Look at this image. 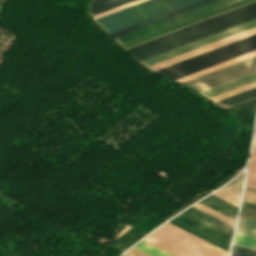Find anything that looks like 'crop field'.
<instances>
[{"instance_id": "crop-field-1", "label": "crop field", "mask_w": 256, "mask_h": 256, "mask_svg": "<svg viewBox=\"0 0 256 256\" xmlns=\"http://www.w3.org/2000/svg\"><path fill=\"white\" fill-rule=\"evenodd\" d=\"M255 18L256 2L191 25L186 27V29L198 40ZM186 29L183 28L152 41L130 48L127 51L137 60L141 61L195 41L196 39Z\"/></svg>"}, {"instance_id": "crop-field-2", "label": "crop field", "mask_w": 256, "mask_h": 256, "mask_svg": "<svg viewBox=\"0 0 256 256\" xmlns=\"http://www.w3.org/2000/svg\"><path fill=\"white\" fill-rule=\"evenodd\" d=\"M143 240L175 256H228V252L168 222Z\"/></svg>"}, {"instance_id": "crop-field-3", "label": "crop field", "mask_w": 256, "mask_h": 256, "mask_svg": "<svg viewBox=\"0 0 256 256\" xmlns=\"http://www.w3.org/2000/svg\"><path fill=\"white\" fill-rule=\"evenodd\" d=\"M253 72H256V56L208 73L206 75L200 76L198 78L192 79L190 81L184 82L182 84L200 92ZM255 80L256 73H253L200 93L205 97L209 98Z\"/></svg>"}, {"instance_id": "crop-field-4", "label": "crop field", "mask_w": 256, "mask_h": 256, "mask_svg": "<svg viewBox=\"0 0 256 256\" xmlns=\"http://www.w3.org/2000/svg\"><path fill=\"white\" fill-rule=\"evenodd\" d=\"M198 0H147L118 12L96 19L108 34Z\"/></svg>"}, {"instance_id": "crop-field-5", "label": "crop field", "mask_w": 256, "mask_h": 256, "mask_svg": "<svg viewBox=\"0 0 256 256\" xmlns=\"http://www.w3.org/2000/svg\"><path fill=\"white\" fill-rule=\"evenodd\" d=\"M255 49L256 35H253L155 72L175 80Z\"/></svg>"}, {"instance_id": "crop-field-6", "label": "crop field", "mask_w": 256, "mask_h": 256, "mask_svg": "<svg viewBox=\"0 0 256 256\" xmlns=\"http://www.w3.org/2000/svg\"><path fill=\"white\" fill-rule=\"evenodd\" d=\"M237 0H215L213 2L204 4L202 6L196 7L194 9L185 11L183 13L177 14L175 16L166 18L164 20L158 21L156 23L147 25L145 27L139 28L137 30L128 32L126 34L115 37L119 44L124 43L126 41L132 40L134 38L140 37L142 35L148 34L150 32L159 30L161 28L167 27L169 25L175 24L177 22L183 21L185 19L194 17L196 15L202 14L204 12L210 11L212 9L218 8L220 6L226 5L228 3L234 2Z\"/></svg>"}, {"instance_id": "crop-field-7", "label": "crop field", "mask_w": 256, "mask_h": 256, "mask_svg": "<svg viewBox=\"0 0 256 256\" xmlns=\"http://www.w3.org/2000/svg\"><path fill=\"white\" fill-rule=\"evenodd\" d=\"M254 27H256V19H255V20H252V21H250V22L244 23V24H242V25L236 26V27H234V28L228 29V30H226V31L220 32V33H218V34L212 35V36H210V37L204 38V39H202V40L193 42V43H191V44L182 46V47H180V48L171 50V51H169V52H166V53L157 55V56L152 57V58H149V59H146V60H144V61H141L140 63H142L143 65H145L146 67H148V66H151V65H153V64H156V63H159V62H161V61L170 59V58H172V57H175V56H178V55H180V54L189 52V51H191V50H194V49H197V48H199V47L208 45V44H210V43L219 41V40H221V39L227 38V37H229V36L238 34V33H240V32L246 31V30L251 29V28H254Z\"/></svg>"}, {"instance_id": "crop-field-8", "label": "crop field", "mask_w": 256, "mask_h": 256, "mask_svg": "<svg viewBox=\"0 0 256 256\" xmlns=\"http://www.w3.org/2000/svg\"><path fill=\"white\" fill-rule=\"evenodd\" d=\"M226 251H229L230 238L206 227L205 225L183 215L179 214L168 221Z\"/></svg>"}, {"instance_id": "crop-field-9", "label": "crop field", "mask_w": 256, "mask_h": 256, "mask_svg": "<svg viewBox=\"0 0 256 256\" xmlns=\"http://www.w3.org/2000/svg\"><path fill=\"white\" fill-rule=\"evenodd\" d=\"M253 34H256V28L251 29V30H248V31L243 32V33H240V34H238V35L229 37V38H227V39L221 40V41H219V42L210 44V45H208V46L199 48V49L194 50V51H191V52H189V53L180 55V56L175 57V58H172V59H170V60L161 62V63H159V64L153 65V66L148 67V68H150V69H152V70L155 71V70H158V69H160V68H163V67H166V66H168V65L177 63V62H179V61L188 59V58H190V57H193V56H196V55H198V54L207 52V51H209V50L215 49V48H217V47L226 45V44H228V43L234 42V41H236V40L245 38V37L250 36V35H253Z\"/></svg>"}, {"instance_id": "crop-field-10", "label": "crop field", "mask_w": 256, "mask_h": 256, "mask_svg": "<svg viewBox=\"0 0 256 256\" xmlns=\"http://www.w3.org/2000/svg\"><path fill=\"white\" fill-rule=\"evenodd\" d=\"M227 109L231 110L235 114L242 126L252 128L256 110V98Z\"/></svg>"}, {"instance_id": "crop-field-11", "label": "crop field", "mask_w": 256, "mask_h": 256, "mask_svg": "<svg viewBox=\"0 0 256 256\" xmlns=\"http://www.w3.org/2000/svg\"><path fill=\"white\" fill-rule=\"evenodd\" d=\"M199 203L235 220L236 219V213H237V207L211 195L204 200L200 201Z\"/></svg>"}, {"instance_id": "crop-field-12", "label": "crop field", "mask_w": 256, "mask_h": 256, "mask_svg": "<svg viewBox=\"0 0 256 256\" xmlns=\"http://www.w3.org/2000/svg\"><path fill=\"white\" fill-rule=\"evenodd\" d=\"M183 212H185V213H187V214H189V215H191V216H193V217H195V218H197V219H199V220H201V221H203V222H205V223H207V224H209V225H211L229 235H232L234 227H232V226H230V225H228V224H226V223H224V222H222V221H220V220H218V219H216V218H214V217H212V216H210L192 206Z\"/></svg>"}, {"instance_id": "crop-field-13", "label": "crop field", "mask_w": 256, "mask_h": 256, "mask_svg": "<svg viewBox=\"0 0 256 256\" xmlns=\"http://www.w3.org/2000/svg\"><path fill=\"white\" fill-rule=\"evenodd\" d=\"M210 1H213V0H201V1L195 2V3H193V4L187 5V6H185V7L179 8V9H177V10L171 11V12H169V13L163 14V15H161V16L155 17V18H153V19L147 20V21H145V22L139 23V24H137V25L131 26V27H129V28L123 29V30H121V31L115 32V33L110 34V35L113 36V37L118 36V35H120V34H123V33H126V32H128V31L137 29V28H139V27H142V26H145V25H147V24L156 22V21H158V20H161V19H164V18H166V17L175 15V14H177V13L183 12V11H185V10L194 8V7H196V6L202 5V4L207 3V2H210Z\"/></svg>"}, {"instance_id": "crop-field-14", "label": "crop field", "mask_w": 256, "mask_h": 256, "mask_svg": "<svg viewBox=\"0 0 256 256\" xmlns=\"http://www.w3.org/2000/svg\"><path fill=\"white\" fill-rule=\"evenodd\" d=\"M145 233H142L134 228L128 229L125 233H123L119 238L116 239L114 243V248L124 251L133 243H135L138 239H140Z\"/></svg>"}, {"instance_id": "crop-field-15", "label": "crop field", "mask_w": 256, "mask_h": 256, "mask_svg": "<svg viewBox=\"0 0 256 256\" xmlns=\"http://www.w3.org/2000/svg\"><path fill=\"white\" fill-rule=\"evenodd\" d=\"M254 55H256V50H255V51H252V52H249V53H247V54L241 55V56H239V57L233 58V59H231V60L225 61V62H223V63L217 64V65H215V66L209 67V68H207V69L201 70V71H199V72L193 73V74H191V75L185 76V77H183V78L177 79V80H175V81L182 83V82H184V81L190 80V79H192V78L198 77V76H200V75L206 74V73H208V72L214 71V70H216V69L222 68V67H224V66L230 65V64H232V63L238 62V61H240V60L246 59V58L251 57V56H254Z\"/></svg>"}, {"instance_id": "crop-field-16", "label": "crop field", "mask_w": 256, "mask_h": 256, "mask_svg": "<svg viewBox=\"0 0 256 256\" xmlns=\"http://www.w3.org/2000/svg\"><path fill=\"white\" fill-rule=\"evenodd\" d=\"M131 1L133 0H93L90 5V15H96Z\"/></svg>"}, {"instance_id": "crop-field-17", "label": "crop field", "mask_w": 256, "mask_h": 256, "mask_svg": "<svg viewBox=\"0 0 256 256\" xmlns=\"http://www.w3.org/2000/svg\"><path fill=\"white\" fill-rule=\"evenodd\" d=\"M246 187L256 189V133L251 152L250 165L247 174Z\"/></svg>"}, {"instance_id": "crop-field-18", "label": "crop field", "mask_w": 256, "mask_h": 256, "mask_svg": "<svg viewBox=\"0 0 256 256\" xmlns=\"http://www.w3.org/2000/svg\"><path fill=\"white\" fill-rule=\"evenodd\" d=\"M236 232L256 237V220L240 216Z\"/></svg>"}, {"instance_id": "crop-field-19", "label": "crop field", "mask_w": 256, "mask_h": 256, "mask_svg": "<svg viewBox=\"0 0 256 256\" xmlns=\"http://www.w3.org/2000/svg\"><path fill=\"white\" fill-rule=\"evenodd\" d=\"M256 96V88L216 102L224 108Z\"/></svg>"}, {"instance_id": "crop-field-20", "label": "crop field", "mask_w": 256, "mask_h": 256, "mask_svg": "<svg viewBox=\"0 0 256 256\" xmlns=\"http://www.w3.org/2000/svg\"><path fill=\"white\" fill-rule=\"evenodd\" d=\"M134 247L151 256H173L143 240L139 242L137 245H135Z\"/></svg>"}, {"instance_id": "crop-field-21", "label": "crop field", "mask_w": 256, "mask_h": 256, "mask_svg": "<svg viewBox=\"0 0 256 256\" xmlns=\"http://www.w3.org/2000/svg\"><path fill=\"white\" fill-rule=\"evenodd\" d=\"M254 87H256V81H255V82H252V83H249V84H247V85L241 86V87H239V88L230 90V91H228V92L222 93V94H220V95L214 96V97L209 98V99L212 100V101H214V102H216V101H219V100H221V99L227 98V97H229V96L235 95V94H237V93L246 91V90L251 89V88H254Z\"/></svg>"}, {"instance_id": "crop-field-22", "label": "crop field", "mask_w": 256, "mask_h": 256, "mask_svg": "<svg viewBox=\"0 0 256 256\" xmlns=\"http://www.w3.org/2000/svg\"><path fill=\"white\" fill-rule=\"evenodd\" d=\"M213 195H215V196H217V197H219L237 207L239 205L240 196H238L224 188L216 191Z\"/></svg>"}, {"instance_id": "crop-field-23", "label": "crop field", "mask_w": 256, "mask_h": 256, "mask_svg": "<svg viewBox=\"0 0 256 256\" xmlns=\"http://www.w3.org/2000/svg\"><path fill=\"white\" fill-rule=\"evenodd\" d=\"M243 177H244V172H242L239 176H237L233 181L228 183L224 188L240 195L241 193V187L243 183Z\"/></svg>"}, {"instance_id": "crop-field-24", "label": "crop field", "mask_w": 256, "mask_h": 256, "mask_svg": "<svg viewBox=\"0 0 256 256\" xmlns=\"http://www.w3.org/2000/svg\"><path fill=\"white\" fill-rule=\"evenodd\" d=\"M236 244H240V245H244V246H248V247H255L256 246V238L253 237H249V236H245V235H241V234H237L235 235V239L234 242Z\"/></svg>"}, {"instance_id": "crop-field-25", "label": "crop field", "mask_w": 256, "mask_h": 256, "mask_svg": "<svg viewBox=\"0 0 256 256\" xmlns=\"http://www.w3.org/2000/svg\"><path fill=\"white\" fill-rule=\"evenodd\" d=\"M193 206L202 210V211H204V212H206V213H208V214H210V215H212V216H214V217H216V218H218V219H220V220H222V221H224V222H226V223H228V224H230V225H232V226H234V224H235L234 221H232V220H230V219H228V218H226V217H224V216H222V215H220V214H218V213H216V212H214V211H212V210H210V209H208V208H206V207H204V206H202L198 203L194 204Z\"/></svg>"}, {"instance_id": "crop-field-26", "label": "crop field", "mask_w": 256, "mask_h": 256, "mask_svg": "<svg viewBox=\"0 0 256 256\" xmlns=\"http://www.w3.org/2000/svg\"><path fill=\"white\" fill-rule=\"evenodd\" d=\"M240 215L256 219V205L245 202Z\"/></svg>"}, {"instance_id": "crop-field-27", "label": "crop field", "mask_w": 256, "mask_h": 256, "mask_svg": "<svg viewBox=\"0 0 256 256\" xmlns=\"http://www.w3.org/2000/svg\"><path fill=\"white\" fill-rule=\"evenodd\" d=\"M232 256H256V252L233 246Z\"/></svg>"}, {"instance_id": "crop-field-28", "label": "crop field", "mask_w": 256, "mask_h": 256, "mask_svg": "<svg viewBox=\"0 0 256 256\" xmlns=\"http://www.w3.org/2000/svg\"><path fill=\"white\" fill-rule=\"evenodd\" d=\"M142 1H145V0H136V1H133V2L128 3V4H125V5H123V6H120V7L114 8V9H112V10L106 11V12H104V13L98 14V15H96V16H93V19L99 18V17H101V16L107 15V14L112 13V12H115V11H118V10H120V9L126 8V7L131 6V5H134V4H137V3L142 2Z\"/></svg>"}, {"instance_id": "crop-field-29", "label": "crop field", "mask_w": 256, "mask_h": 256, "mask_svg": "<svg viewBox=\"0 0 256 256\" xmlns=\"http://www.w3.org/2000/svg\"><path fill=\"white\" fill-rule=\"evenodd\" d=\"M243 200L256 204V192L245 189Z\"/></svg>"}, {"instance_id": "crop-field-30", "label": "crop field", "mask_w": 256, "mask_h": 256, "mask_svg": "<svg viewBox=\"0 0 256 256\" xmlns=\"http://www.w3.org/2000/svg\"><path fill=\"white\" fill-rule=\"evenodd\" d=\"M210 193V192H208ZM208 193H203V194H199L196 195L195 197H193L191 200H189L186 204H184L180 209H178L176 212H174L172 215H170L168 218H170L171 216H173L174 214L178 213L179 211H181L182 209H184L185 207L189 206L190 204H192L193 202L197 201L198 199L202 198L203 196L207 195ZM167 218V219H168Z\"/></svg>"}, {"instance_id": "crop-field-31", "label": "crop field", "mask_w": 256, "mask_h": 256, "mask_svg": "<svg viewBox=\"0 0 256 256\" xmlns=\"http://www.w3.org/2000/svg\"><path fill=\"white\" fill-rule=\"evenodd\" d=\"M125 254L128 255V256H149V255H147V254H145V253H143V252H141V251H139V250H137L133 247Z\"/></svg>"}, {"instance_id": "crop-field-32", "label": "crop field", "mask_w": 256, "mask_h": 256, "mask_svg": "<svg viewBox=\"0 0 256 256\" xmlns=\"http://www.w3.org/2000/svg\"><path fill=\"white\" fill-rule=\"evenodd\" d=\"M242 168L236 170L232 175H230L229 177H227L223 182H221L216 188H214L213 190L217 189L219 186H221L222 184H224L226 181H228L229 179H231L232 177H234L236 174H238L240 172Z\"/></svg>"}, {"instance_id": "crop-field-33", "label": "crop field", "mask_w": 256, "mask_h": 256, "mask_svg": "<svg viewBox=\"0 0 256 256\" xmlns=\"http://www.w3.org/2000/svg\"><path fill=\"white\" fill-rule=\"evenodd\" d=\"M254 249H256V247Z\"/></svg>"}]
</instances>
